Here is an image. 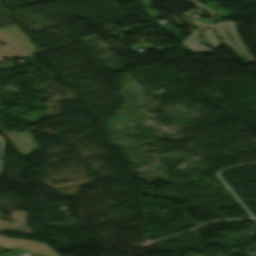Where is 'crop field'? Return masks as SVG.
Returning <instances> with one entry per match:
<instances>
[{"label":"crop field","instance_id":"1","mask_svg":"<svg viewBox=\"0 0 256 256\" xmlns=\"http://www.w3.org/2000/svg\"><path fill=\"white\" fill-rule=\"evenodd\" d=\"M0 42L9 44L7 47L0 46V55L18 57L37 52L36 48L16 25L0 30ZM11 46H16L18 49L13 50L10 48Z\"/></svg>","mask_w":256,"mask_h":256},{"label":"crop field","instance_id":"2","mask_svg":"<svg viewBox=\"0 0 256 256\" xmlns=\"http://www.w3.org/2000/svg\"><path fill=\"white\" fill-rule=\"evenodd\" d=\"M226 25L230 29L231 34H232L238 48L247 56V58L250 62H255V60L252 58L249 51L247 50L244 42L241 40L240 36L238 35L234 22H226Z\"/></svg>","mask_w":256,"mask_h":256},{"label":"crop field","instance_id":"3","mask_svg":"<svg viewBox=\"0 0 256 256\" xmlns=\"http://www.w3.org/2000/svg\"><path fill=\"white\" fill-rule=\"evenodd\" d=\"M216 29H217L219 35L223 37V40H224L225 44H226L229 48L235 50V51L237 52V54H241V53L239 52V50L236 48V46L233 44V42H232L230 36L228 35V33H227V31H226V29H225V27H224V25H223L222 22H220V24L217 26ZM236 52H235V53H236Z\"/></svg>","mask_w":256,"mask_h":256},{"label":"crop field","instance_id":"4","mask_svg":"<svg viewBox=\"0 0 256 256\" xmlns=\"http://www.w3.org/2000/svg\"><path fill=\"white\" fill-rule=\"evenodd\" d=\"M196 35H197V32H192L190 34L189 38L186 41H184V44H186L190 49H192L194 51H199V52H201V51H203V52L210 51L209 49L199 45L196 42V40H195Z\"/></svg>","mask_w":256,"mask_h":256},{"label":"crop field","instance_id":"5","mask_svg":"<svg viewBox=\"0 0 256 256\" xmlns=\"http://www.w3.org/2000/svg\"><path fill=\"white\" fill-rule=\"evenodd\" d=\"M207 1L206 7L210 8L217 14L221 15L222 17H230L227 10H221V8H218L217 10H214L215 7H218L216 2H211L210 0H204Z\"/></svg>","mask_w":256,"mask_h":256},{"label":"crop field","instance_id":"6","mask_svg":"<svg viewBox=\"0 0 256 256\" xmlns=\"http://www.w3.org/2000/svg\"><path fill=\"white\" fill-rule=\"evenodd\" d=\"M141 3H143V5H145L146 7L147 6H150V1H152V0H139ZM154 1H156V0H154ZM145 11L152 17V19L153 20H155V21H158L157 19H156V17L157 16H159L160 15V13H158L157 11H155V10H151V9H145Z\"/></svg>","mask_w":256,"mask_h":256},{"label":"crop field","instance_id":"7","mask_svg":"<svg viewBox=\"0 0 256 256\" xmlns=\"http://www.w3.org/2000/svg\"><path fill=\"white\" fill-rule=\"evenodd\" d=\"M208 31V32H206ZM205 31V36L210 39V42L213 44L212 47L215 48V46L219 45V41L218 39L216 38L215 35H212L211 33L214 32V31H210V30H206ZM213 38H216V40H214Z\"/></svg>","mask_w":256,"mask_h":256},{"label":"crop field","instance_id":"8","mask_svg":"<svg viewBox=\"0 0 256 256\" xmlns=\"http://www.w3.org/2000/svg\"><path fill=\"white\" fill-rule=\"evenodd\" d=\"M191 1H193L195 4H197V6H201V7H203L202 5H200L197 1H195V0H191ZM203 10H207V12H209L210 14H212V15H216V14H214V13H212V12H210L207 8H205L204 7V9ZM217 16V15H216ZM219 17V16H218Z\"/></svg>","mask_w":256,"mask_h":256},{"label":"crop field","instance_id":"9","mask_svg":"<svg viewBox=\"0 0 256 256\" xmlns=\"http://www.w3.org/2000/svg\"><path fill=\"white\" fill-rule=\"evenodd\" d=\"M240 60L242 61V63H245L247 62L246 59L243 57V55H238Z\"/></svg>","mask_w":256,"mask_h":256}]
</instances>
